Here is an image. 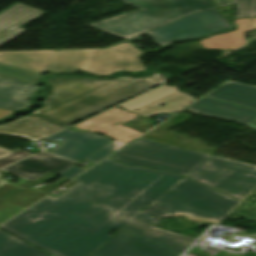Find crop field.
<instances>
[{
  "label": "crop field",
  "instance_id": "obj_1",
  "mask_svg": "<svg viewBox=\"0 0 256 256\" xmlns=\"http://www.w3.org/2000/svg\"><path fill=\"white\" fill-rule=\"evenodd\" d=\"M179 177L108 157L74 179L79 183L64 194L44 198L0 228L56 256H86Z\"/></svg>",
  "mask_w": 256,
  "mask_h": 256
},
{
  "label": "crop field",
  "instance_id": "obj_2",
  "mask_svg": "<svg viewBox=\"0 0 256 256\" xmlns=\"http://www.w3.org/2000/svg\"><path fill=\"white\" fill-rule=\"evenodd\" d=\"M238 202L183 177L90 256H178L195 238L153 227L160 219L216 223Z\"/></svg>",
  "mask_w": 256,
  "mask_h": 256
},
{
  "label": "crop field",
  "instance_id": "obj_3",
  "mask_svg": "<svg viewBox=\"0 0 256 256\" xmlns=\"http://www.w3.org/2000/svg\"><path fill=\"white\" fill-rule=\"evenodd\" d=\"M141 53L128 42L106 50L0 53V75L36 85L44 71L80 70L97 75L140 71L145 70L137 57Z\"/></svg>",
  "mask_w": 256,
  "mask_h": 256
},
{
  "label": "crop field",
  "instance_id": "obj_4",
  "mask_svg": "<svg viewBox=\"0 0 256 256\" xmlns=\"http://www.w3.org/2000/svg\"><path fill=\"white\" fill-rule=\"evenodd\" d=\"M143 79L158 85L167 80L166 77L158 73ZM135 80L137 79L132 77H118L104 81L81 78H51L48 82L52 86L53 93L48 97L44 106L32 116H26L0 126V133L13 134L35 141L67 126L59 121L47 118L44 114L88 94L100 98Z\"/></svg>",
  "mask_w": 256,
  "mask_h": 256
},
{
  "label": "crop field",
  "instance_id": "obj_5",
  "mask_svg": "<svg viewBox=\"0 0 256 256\" xmlns=\"http://www.w3.org/2000/svg\"><path fill=\"white\" fill-rule=\"evenodd\" d=\"M140 9L89 24L128 39L172 21L215 8L211 0H122Z\"/></svg>",
  "mask_w": 256,
  "mask_h": 256
},
{
  "label": "crop field",
  "instance_id": "obj_6",
  "mask_svg": "<svg viewBox=\"0 0 256 256\" xmlns=\"http://www.w3.org/2000/svg\"><path fill=\"white\" fill-rule=\"evenodd\" d=\"M207 156L141 139L113 155L115 160L126 165L144 166L181 175H186Z\"/></svg>",
  "mask_w": 256,
  "mask_h": 256
},
{
  "label": "crop field",
  "instance_id": "obj_7",
  "mask_svg": "<svg viewBox=\"0 0 256 256\" xmlns=\"http://www.w3.org/2000/svg\"><path fill=\"white\" fill-rule=\"evenodd\" d=\"M186 176L239 199L256 186V166L212 155Z\"/></svg>",
  "mask_w": 256,
  "mask_h": 256
},
{
  "label": "crop field",
  "instance_id": "obj_8",
  "mask_svg": "<svg viewBox=\"0 0 256 256\" xmlns=\"http://www.w3.org/2000/svg\"><path fill=\"white\" fill-rule=\"evenodd\" d=\"M156 86L158 85L140 79L100 99L88 95L82 99L50 112L46 114V116L59 120L70 126Z\"/></svg>",
  "mask_w": 256,
  "mask_h": 256
},
{
  "label": "crop field",
  "instance_id": "obj_9",
  "mask_svg": "<svg viewBox=\"0 0 256 256\" xmlns=\"http://www.w3.org/2000/svg\"><path fill=\"white\" fill-rule=\"evenodd\" d=\"M231 25L217 9L192 14L168 25L148 32L153 40L165 47L175 41L196 38L211 32L231 29Z\"/></svg>",
  "mask_w": 256,
  "mask_h": 256
},
{
  "label": "crop field",
  "instance_id": "obj_10",
  "mask_svg": "<svg viewBox=\"0 0 256 256\" xmlns=\"http://www.w3.org/2000/svg\"><path fill=\"white\" fill-rule=\"evenodd\" d=\"M177 89L175 86L164 85L120 106L148 118L159 112L175 113L195 101L187 94L178 92ZM162 103L166 105L159 107Z\"/></svg>",
  "mask_w": 256,
  "mask_h": 256
},
{
  "label": "crop field",
  "instance_id": "obj_11",
  "mask_svg": "<svg viewBox=\"0 0 256 256\" xmlns=\"http://www.w3.org/2000/svg\"><path fill=\"white\" fill-rule=\"evenodd\" d=\"M135 117H137V115L115 107L93 119H90L74 127L86 131H98L104 133L106 136L128 143L139 136L141 133L120 124Z\"/></svg>",
  "mask_w": 256,
  "mask_h": 256
},
{
  "label": "crop field",
  "instance_id": "obj_12",
  "mask_svg": "<svg viewBox=\"0 0 256 256\" xmlns=\"http://www.w3.org/2000/svg\"><path fill=\"white\" fill-rule=\"evenodd\" d=\"M44 14H46V12L39 11L20 3L1 12L0 47L27 31L22 28Z\"/></svg>",
  "mask_w": 256,
  "mask_h": 256
},
{
  "label": "crop field",
  "instance_id": "obj_13",
  "mask_svg": "<svg viewBox=\"0 0 256 256\" xmlns=\"http://www.w3.org/2000/svg\"><path fill=\"white\" fill-rule=\"evenodd\" d=\"M185 110L247 124L256 117V110L234 103L203 97Z\"/></svg>",
  "mask_w": 256,
  "mask_h": 256
},
{
  "label": "crop field",
  "instance_id": "obj_14",
  "mask_svg": "<svg viewBox=\"0 0 256 256\" xmlns=\"http://www.w3.org/2000/svg\"><path fill=\"white\" fill-rule=\"evenodd\" d=\"M39 86L0 76V108L21 110L30 106L29 99Z\"/></svg>",
  "mask_w": 256,
  "mask_h": 256
},
{
  "label": "crop field",
  "instance_id": "obj_15",
  "mask_svg": "<svg viewBox=\"0 0 256 256\" xmlns=\"http://www.w3.org/2000/svg\"><path fill=\"white\" fill-rule=\"evenodd\" d=\"M64 160L47 152H41L14 163L3 170L32 181Z\"/></svg>",
  "mask_w": 256,
  "mask_h": 256
},
{
  "label": "crop field",
  "instance_id": "obj_16",
  "mask_svg": "<svg viewBox=\"0 0 256 256\" xmlns=\"http://www.w3.org/2000/svg\"><path fill=\"white\" fill-rule=\"evenodd\" d=\"M206 97L234 102L256 109V87L228 81Z\"/></svg>",
  "mask_w": 256,
  "mask_h": 256
},
{
  "label": "crop field",
  "instance_id": "obj_17",
  "mask_svg": "<svg viewBox=\"0 0 256 256\" xmlns=\"http://www.w3.org/2000/svg\"><path fill=\"white\" fill-rule=\"evenodd\" d=\"M58 138L63 139V141L61 145L53 149L52 152L68 158L100 137L92 132H73L66 129L46 140L52 142Z\"/></svg>",
  "mask_w": 256,
  "mask_h": 256
},
{
  "label": "crop field",
  "instance_id": "obj_18",
  "mask_svg": "<svg viewBox=\"0 0 256 256\" xmlns=\"http://www.w3.org/2000/svg\"><path fill=\"white\" fill-rule=\"evenodd\" d=\"M249 18L236 20L235 24L238 25V30L230 33L208 37L200 40L204 49H236L243 44L242 35L247 31Z\"/></svg>",
  "mask_w": 256,
  "mask_h": 256
},
{
  "label": "crop field",
  "instance_id": "obj_19",
  "mask_svg": "<svg viewBox=\"0 0 256 256\" xmlns=\"http://www.w3.org/2000/svg\"><path fill=\"white\" fill-rule=\"evenodd\" d=\"M0 256H50L0 231Z\"/></svg>",
  "mask_w": 256,
  "mask_h": 256
},
{
  "label": "crop field",
  "instance_id": "obj_20",
  "mask_svg": "<svg viewBox=\"0 0 256 256\" xmlns=\"http://www.w3.org/2000/svg\"><path fill=\"white\" fill-rule=\"evenodd\" d=\"M45 195L46 193L24 190L16 187L4 196H2L0 199H4L27 207Z\"/></svg>",
  "mask_w": 256,
  "mask_h": 256
},
{
  "label": "crop field",
  "instance_id": "obj_21",
  "mask_svg": "<svg viewBox=\"0 0 256 256\" xmlns=\"http://www.w3.org/2000/svg\"><path fill=\"white\" fill-rule=\"evenodd\" d=\"M109 142L110 141L106 137H102L99 140L92 143L91 145L84 148L83 150L79 151L78 153H76L75 155L70 157L69 159L79 162L82 159H84L85 157H87V156L91 155L92 153H94L95 151L99 150L103 146L107 145Z\"/></svg>",
  "mask_w": 256,
  "mask_h": 256
},
{
  "label": "crop field",
  "instance_id": "obj_22",
  "mask_svg": "<svg viewBox=\"0 0 256 256\" xmlns=\"http://www.w3.org/2000/svg\"><path fill=\"white\" fill-rule=\"evenodd\" d=\"M24 208L25 207H22L7 201L3 202L2 204H0V223H2L4 220L14 215L15 213L21 211Z\"/></svg>",
  "mask_w": 256,
  "mask_h": 256
},
{
  "label": "crop field",
  "instance_id": "obj_23",
  "mask_svg": "<svg viewBox=\"0 0 256 256\" xmlns=\"http://www.w3.org/2000/svg\"><path fill=\"white\" fill-rule=\"evenodd\" d=\"M233 2L236 4L234 18L250 16L253 0H233Z\"/></svg>",
  "mask_w": 256,
  "mask_h": 256
},
{
  "label": "crop field",
  "instance_id": "obj_24",
  "mask_svg": "<svg viewBox=\"0 0 256 256\" xmlns=\"http://www.w3.org/2000/svg\"><path fill=\"white\" fill-rule=\"evenodd\" d=\"M147 121H149V119L139 116L131 121L124 123L123 125L143 133L146 130H148L149 128H151L152 126H154V125L148 123Z\"/></svg>",
  "mask_w": 256,
  "mask_h": 256
},
{
  "label": "crop field",
  "instance_id": "obj_25",
  "mask_svg": "<svg viewBox=\"0 0 256 256\" xmlns=\"http://www.w3.org/2000/svg\"><path fill=\"white\" fill-rule=\"evenodd\" d=\"M29 154H31V153L26 152L24 150H18L14 153L7 155V156H4V157L0 158V167L5 166L11 162H14L22 157L29 155Z\"/></svg>",
  "mask_w": 256,
  "mask_h": 256
},
{
  "label": "crop field",
  "instance_id": "obj_26",
  "mask_svg": "<svg viewBox=\"0 0 256 256\" xmlns=\"http://www.w3.org/2000/svg\"><path fill=\"white\" fill-rule=\"evenodd\" d=\"M112 150H113V143L111 142L110 144H108L104 148L100 149L96 153L92 154L91 156L87 157L86 159L96 163L99 160L106 157L107 155L111 154Z\"/></svg>",
  "mask_w": 256,
  "mask_h": 256
},
{
  "label": "crop field",
  "instance_id": "obj_27",
  "mask_svg": "<svg viewBox=\"0 0 256 256\" xmlns=\"http://www.w3.org/2000/svg\"><path fill=\"white\" fill-rule=\"evenodd\" d=\"M55 175L50 174V173H45L44 175L40 176L39 178H37L36 180L29 182L26 181L23 184H21L19 187H23V188H29L31 186H33L36 183H40V182H46L47 180H49L50 178L54 177Z\"/></svg>",
  "mask_w": 256,
  "mask_h": 256
},
{
  "label": "crop field",
  "instance_id": "obj_28",
  "mask_svg": "<svg viewBox=\"0 0 256 256\" xmlns=\"http://www.w3.org/2000/svg\"><path fill=\"white\" fill-rule=\"evenodd\" d=\"M76 163H73L71 161H64L63 163L59 164L58 166H56L55 168L51 169L49 172L55 174V175H59L62 172L66 171L67 169H69L70 167L74 166Z\"/></svg>",
  "mask_w": 256,
  "mask_h": 256
},
{
  "label": "crop field",
  "instance_id": "obj_29",
  "mask_svg": "<svg viewBox=\"0 0 256 256\" xmlns=\"http://www.w3.org/2000/svg\"><path fill=\"white\" fill-rule=\"evenodd\" d=\"M84 170L85 169L74 166V167H72L71 169L67 170L66 172H64L63 174H61L59 176L71 179V178L78 175L79 173H81Z\"/></svg>",
  "mask_w": 256,
  "mask_h": 256
},
{
  "label": "crop field",
  "instance_id": "obj_30",
  "mask_svg": "<svg viewBox=\"0 0 256 256\" xmlns=\"http://www.w3.org/2000/svg\"><path fill=\"white\" fill-rule=\"evenodd\" d=\"M67 181H68V179L62 178L50 186H48V185L43 186L41 189H39V191L50 192L53 189L57 188L58 186L62 185L63 183H65Z\"/></svg>",
  "mask_w": 256,
  "mask_h": 256
},
{
  "label": "crop field",
  "instance_id": "obj_31",
  "mask_svg": "<svg viewBox=\"0 0 256 256\" xmlns=\"http://www.w3.org/2000/svg\"><path fill=\"white\" fill-rule=\"evenodd\" d=\"M15 186H11V185H7L4 184L2 186H0V197L2 195H4L5 193H7L8 191H10L11 189H13ZM4 200H0V203L3 202Z\"/></svg>",
  "mask_w": 256,
  "mask_h": 256
},
{
  "label": "crop field",
  "instance_id": "obj_32",
  "mask_svg": "<svg viewBox=\"0 0 256 256\" xmlns=\"http://www.w3.org/2000/svg\"><path fill=\"white\" fill-rule=\"evenodd\" d=\"M215 2L217 3L219 8L234 4L232 0H215Z\"/></svg>",
  "mask_w": 256,
  "mask_h": 256
},
{
  "label": "crop field",
  "instance_id": "obj_33",
  "mask_svg": "<svg viewBox=\"0 0 256 256\" xmlns=\"http://www.w3.org/2000/svg\"><path fill=\"white\" fill-rule=\"evenodd\" d=\"M14 112L16 111L0 109V119L13 114Z\"/></svg>",
  "mask_w": 256,
  "mask_h": 256
},
{
  "label": "crop field",
  "instance_id": "obj_34",
  "mask_svg": "<svg viewBox=\"0 0 256 256\" xmlns=\"http://www.w3.org/2000/svg\"><path fill=\"white\" fill-rule=\"evenodd\" d=\"M115 143V150H117L118 148H120L121 146H123L124 144H126L125 142H121V141H113ZM114 150V151H115Z\"/></svg>",
  "mask_w": 256,
  "mask_h": 256
},
{
  "label": "crop field",
  "instance_id": "obj_35",
  "mask_svg": "<svg viewBox=\"0 0 256 256\" xmlns=\"http://www.w3.org/2000/svg\"><path fill=\"white\" fill-rule=\"evenodd\" d=\"M247 126L256 128V118L253 119L250 123H248Z\"/></svg>",
  "mask_w": 256,
  "mask_h": 256
},
{
  "label": "crop field",
  "instance_id": "obj_36",
  "mask_svg": "<svg viewBox=\"0 0 256 256\" xmlns=\"http://www.w3.org/2000/svg\"><path fill=\"white\" fill-rule=\"evenodd\" d=\"M254 28H256V18H253L250 24V29H254Z\"/></svg>",
  "mask_w": 256,
  "mask_h": 256
},
{
  "label": "crop field",
  "instance_id": "obj_37",
  "mask_svg": "<svg viewBox=\"0 0 256 256\" xmlns=\"http://www.w3.org/2000/svg\"><path fill=\"white\" fill-rule=\"evenodd\" d=\"M8 153H10V152H9V151H6V150H4V149H2V148H0V157L6 155V154H8Z\"/></svg>",
  "mask_w": 256,
  "mask_h": 256
},
{
  "label": "crop field",
  "instance_id": "obj_38",
  "mask_svg": "<svg viewBox=\"0 0 256 256\" xmlns=\"http://www.w3.org/2000/svg\"><path fill=\"white\" fill-rule=\"evenodd\" d=\"M76 183L77 182L72 181V182L68 183L67 185H65L64 187L69 188L70 186H72V185H74Z\"/></svg>",
  "mask_w": 256,
  "mask_h": 256
},
{
  "label": "crop field",
  "instance_id": "obj_39",
  "mask_svg": "<svg viewBox=\"0 0 256 256\" xmlns=\"http://www.w3.org/2000/svg\"><path fill=\"white\" fill-rule=\"evenodd\" d=\"M253 16H256V4H255V9H254V14Z\"/></svg>",
  "mask_w": 256,
  "mask_h": 256
},
{
  "label": "crop field",
  "instance_id": "obj_40",
  "mask_svg": "<svg viewBox=\"0 0 256 256\" xmlns=\"http://www.w3.org/2000/svg\"><path fill=\"white\" fill-rule=\"evenodd\" d=\"M2 182V180L0 179V183Z\"/></svg>",
  "mask_w": 256,
  "mask_h": 256
}]
</instances>
